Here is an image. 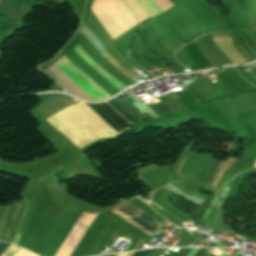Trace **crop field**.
<instances>
[{"label": "crop field", "instance_id": "8a807250", "mask_svg": "<svg viewBox=\"0 0 256 256\" xmlns=\"http://www.w3.org/2000/svg\"><path fill=\"white\" fill-rule=\"evenodd\" d=\"M110 211L150 236L156 233L157 229L161 226L144 212L124 202Z\"/></svg>", "mask_w": 256, "mask_h": 256}, {"label": "crop field", "instance_id": "ac0d7876", "mask_svg": "<svg viewBox=\"0 0 256 256\" xmlns=\"http://www.w3.org/2000/svg\"><path fill=\"white\" fill-rule=\"evenodd\" d=\"M99 117H101L116 133L128 127L127 122L106 103H86Z\"/></svg>", "mask_w": 256, "mask_h": 256}, {"label": "crop field", "instance_id": "34b2d1b8", "mask_svg": "<svg viewBox=\"0 0 256 256\" xmlns=\"http://www.w3.org/2000/svg\"><path fill=\"white\" fill-rule=\"evenodd\" d=\"M195 60L205 58L196 40L186 45Z\"/></svg>", "mask_w": 256, "mask_h": 256}, {"label": "crop field", "instance_id": "412701ff", "mask_svg": "<svg viewBox=\"0 0 256 256\" xmlns=\"http://www.w3.org/2000/svg\"><path fill=\"white\" fill-rule=\"evenodd\" d=\"M108 103H109L114 109H116L120 114H122V115L128 120L129 123L132 122V121H134V120H133L131 117H129L122 109H120V108H118L117 106H115V105L112 103L111 100L108 101Z\"/></svg>", "mask_w": 256, "mask_h": 256}, {"label": "crop field", "instance_id": "f4fd0767", "mask_svg": "<svg viewBox=\"0 0 256 256\" xmlns=\"http://www.w3.org/2000/svg\"><path fill=\"white\" fill-rule=\"evenodd\" d=\"M19 204H20V202H18L17 205H16V208H15V210H14V212H13V215H12V218H11V221H10V224H9V226H8V229H7V232H6V234H5V237H4V240H3V241H5L6 238H7V236H8L11 223H12V221H13V218H14V216H15V213H16V211H17V209H18Z\"/></svg>", "mask_w": 256, "mask_h": 256}, {"label": "crop field", "instance_id": "dd49c442", "mask_svg": "<svg viewBox=\"0 0 256 256\" xmlns=\"http://www.w3.org/2000/svg\"><path fill=\"white\" fill-rule=\"evenodd\" d=\"M152 250L153 249L135 252L133 256H148L152 252Z\"/></svg>", "mask_w": 256, "mask_h": 256}, {"label": "crop field", "instance_id": "e52e79f7", "mask_svg": "<svg viewBox=\"0 0 256 256\" xmlns=\"http://www.w3.org/2000/svg\"><path fill=\"white\" fill-rule=\"evenodd\" d=\"M9 244L1 243L0 244V255L4 252V250L8 247Z\"/></svg>", "mask_w": 256, "mask_h": 256}, {"label": "crop field", "instance_id": "d8731c3e", "mask_svg": "<svg viewBox=\"0 0 256 256\" xmlns=\"http://www.w3.org/2000/svg\"><path fill=\"white\" fill-rule=\"evenodd\" d=\"M151 202V201H150ZM152 204H154L153 202H151ZM155 205V204H154ZM156 207H158L157 205H155ZM159 208V207H158ZM161 209V208H160Z\"/></svg>", "mask_w": 256, "mask_h": 256}]
</instances>
